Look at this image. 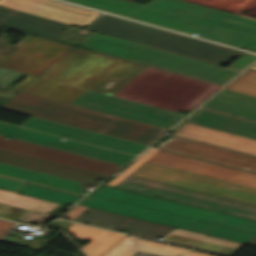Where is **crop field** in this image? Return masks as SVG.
Instances as JSON below:
<instances>
[{"instance_id": "obj_32", "label": "crop field", "mask_w": 256, "mask_h": 256, "mask_svg": "<svg viewBox=\"0 0 256 256\" xmlns=\"http://www.w3.org/2000/svg\"><path fill=\"white\" fill-rule=\"evenodd\" d=\"M14 225L15 223L0 220V238Z\"/></svg>"}, {"instance_id": "obj_38", "label": "crop field", "mask_w": 256, "mask_h": 256, "mask_svg": "<svg viewBox=\"0 0 256 256\" xmlns=\"http://www.w3.org/2000/svg\"><path fill=\"white\" fill-rule=\"evenodd\" d=\"M248 245H252V246H256V237L253 238L249 243H247Z\"/></svg>"}, {"instance_id": "obj_5", "label": "crop field", "mask_w": 256, "mask_h": 256, "mask_svg": "<svg viewBox=\"0 0 256 256\" xmlns=\"http://www.w3.org/2000/svg\"><path fill=\"white\" fill-rule=\"evenodd\" d=\"M81 43L95 51L219 85L238 73L217 65L97 33H92Z\"/></svg>"}, {"instance_id": "obj_22", "label": "crop field", "mask_w": 256, "mask_h": 256, "mask_svg": "<svg viewBox=\"0 0 256 256\" xmlns=\"http://www.w3.org/2000/svg\"><path fill=\"white\" fill-rule=\"evenodd\" d=\"M59 204L0 190V218L17 222L27 211L48 214Z\"/></svg>"}, {"instance_id": "obj_3", "label": "crop field", "mask_w": 256, "mask_h": 256, "mask_svg": "<svg viewBox=\"0 0 256 256\" xmlns=\"http://www.w3.org/2000/svg\"><path fill=\"white\" fill-rule=\"evenodd\" d=\"M220 86L148 67L114 96L171 110L195 108Z\"/></svg>"}, {"instance_id": "obj_7", "label": "crop field", "mask_w": 256, "mask_h": 256, "mask_svg": "<svg viewBox=\"0 0 256 256\" xmlns=\"http://www.w3.org/2000/svg\"><path fill=\"white\" fill-rule=\"evenodd\" d=\"M116 187L166 200L256 220L255 206L189 191L133 176H128ZM145 191H150V193H146ZM218 209H222V211H219Z\"/></svg>"}, {"instance_id": "obj_33", "label": "crop field", "mask_w": 256, "mask_h": 256, "mask_svg": "<svg viewBox=\"0 0 256 256\" xmlns=\"http://www.w3.org/2000/svg\"><path fill=\"white\" fill-rule=\"evenodd\" d=\"M84 209H86V207H82V206H78L76 205L74 208H72L67 216H64L65 218H70L73 219L74 217H76L79 213H81Z\"/></svg>"}, {"instance_id": "obj_30", "label": "crop field", "mask_w": 256, "mask_h": 256, "mask_svg": "<svg viewBox=\"0 0 256 256\" xmlns=\"http://www.w3.org/2000/svg\"><path fill=\"white\" fill-rule=\"evenodd\" d=\"M25 184L26 182L0 176V189L16 192Z\"/></svg>"}, {"instance_id": "obj_36", "label": "crop field", "mask_w": 256, "mask_h": 256, "mask_svg": "<svg viewBox=\"0 0 256 256\" xmlns=\"http://www.w3.org/2000/svg\"><path fill=\"white\" fill-rule=\"evenodd\" d=\"M186 256H210V255H206V254H202V253H198V252H194L191 251L189 254H187Z\"/></svg>"}, {"instance_id": "obj_8", "label": "crop field", "mask_w": 256, "mask_h": 256, "mask_svg": "<svg viewBox=\"0 0 256 256\" xmlns=\"http://www.w3.org/2000/svg\"><path fill=\"white\" fill-rule=\"evenodd\" d=\"M92 195L256 234V221L137 195L103 186Z\"/></svg>"}, {"instance_id": "obj_25", "label": "crop field", "mask_w": 256, "mask_h": 256, "mask_svg": "<svg viewBox=\"0 0 256 256\" xmlns=\"http://www.w3.org/2000/svg\"><path fill=\"white\" fill-rule=\"evenodd\" d=\"M0 174L76 194H85V192H82L85 188L81 187L83 183L4 163H0Z\"/></svg>"}, {"instance_id": "obj_2", "label": "crop field", "mask_w": 256, "mask_h": 256, "mask_svg": "<svg viewBox=\"0 0 256 256\" xmlns=\"http://www.w3.org/2000/svg\"><path fill=\"white\" fill-rule=\"evenodd\" d=\"M186 34L256 51V21L184 0H66Z\"/></svg>"}, {"instance_id": "obj_20", "label": "crop field", "mask_w": 256, "mask_h": 256, "mask_svg": "<svg viewBox=\"0 0 256 256\" xmlns=\"http://www.w3.org/2000/svg\"><path fill=\"white\" fill-rule=\"evenodd\" d=\"M174 136L256 156V140L192 125H182Z\"/></svg>"}, {"instance_id": "obj_16", "label": "crop field", "mask_w": 256, "mask_h": 256, "mask_svg": "<svg viewBox=\"0 0 256 256\" xmlns=\"http://www.w3.org/2000/svg\"><path fill=\"white\" fill-rule=\"evenodd\" d=\"M0 5L78 26H87L99 15V13L53 0H0Z\"/></svg>"}, {"instance_id": "obj_14", "label": "crop field", "mask_w": 256, "mask_h": 256, "mask_svg": "<svg viewBox=\"0 0 256 256\" xmlns=\"http://www.w3.org/2000/svg\"><path fill=\"white\" fill-rule=\"evenodd\" d=\"M0 148L109 176L122 168V166L98 161L95 159L71 154L68 152L44 147L41 145L17 139L7 140L3 136H0Z\"/></svg>"}, {"instance_id": "obj_1", "label": "crop field", "mask_w": 256, "mask_h": 256, "mask_svg": "<svg viewBox=\"0 0 256 256\" xmlns=\"http://www.w3.org/2000/svg\"><path fill=\"white\" fill-rule=\"evenodd\" d=\"M45 40L0 41V67L29 74L1 108L149 145L166 129L68 105L87 89L115 94L147 66Z\"/></svg>"}, {"instance_id": "obj_34", "label": "crop field", "mask_w": 256, "mask_h": 256, "mask_svg": "<svg viewBox=\"0 0 256 256\" xmlns=\"http://www.w3.org/2000/svg\"><path fill=\"white\" fill-rule=\"evenodd\" d=\"M126 175H119L112 179L110 182H108L106 185L115 187L117 184H119L124 178H126Z\"/></svg>"}, {"instance_id": "obj_19", "label": "crop field", "mask_w": 256, "mask_h": 256, "mask_svg": "<svg viewBox=\"0 0 256 256\" xmlns=\"http://www.w3.org/2000/svg\"><path fill=\"white\" fill-rule=\"evenodd\" d=\"M0 162L37 170L64 178L84 182L87 184L97 185L99 183L95 182L97 179L101 178L106 180L109 176L5 151L0 149Z\"/></svg>"}, {"instance_id": "obj_31", "label": "crop field", "mask_w": 256, "mask_h": 256, "mask_svg": "<svg viewBox=\"0 0 256 256\" xmlns=\"http://www.w3.org/2000/svg\"><path fill=\"white\" fill-rule=\"evenodd\" d=\"M255 59H256L255 55H251V54L246 53L245 55H243L240 59H238L235 63H233L228 68L241 71L247 65H249L251 62H253Z\"/></svg>"}, {"instance_id": "obj_11", "label": "crop field", "mask_w": 256, "mask_h": 256, "mask_svg": "<svg viewBox=\"0 0 256 256\" xmlns=\"http://www.w3.org/2000/svg\"><path fill=\"white\" fill-rule=\"evenodd\" d=\"M70 105L169 129L184 114L174 113L87 90Z\"/></svg>"}, {"instance_id": "obj_18", "label": "crop field", "mask_w": 256, "mask_h": 256, "mask_svg": "<svg viewBox=\"0 0 256 256\" xmlns=\"http://www.w3.org/2000/svg\"><path fill=\"white\" fill-rule=\"evenodd\" d=\"M73 221H78L90 225L114 228V230H121L127 228V233L140 235L156 239L162 238L171 227H166L126 216H121L113 213L99 211L91 208H87L81 214H79Z\"/></svg>"}, {"instance_id": "obj_12", "label": "crop field", "mask_w": 256, "mask_h": 256, "mask_svg": "<svg viewBox=\"0 0 256 256\" xmlns=\"http://www.w3.org/2000/svg\"><path fill=\"white\" fill-rule=\"evenodd\" d=\"M0 135L13 137L44 146L68 151L71 153L95 158L98 160L118 164L124 166L131 161L135 156L83 144L77 141L68 139L67 141H61V137L5 124L0 122Z\"/></svg>"}, {"instance_id": "obj_15", "label": "crop field", "mask_w": 256, "mask_h": 256, "mask_svg": "<svg viewBox=\"0 0 256 256\" xmlns=\"http://www.w3.org/2000/svg\"><path fill=\"white\" fill-rule=\"evenodd\" d=\"M22 127L137 156L147 145L30 117Z\"/></svg>"}, {"instance_id": "obj_6", "label": "crop field", "mask_w": 256, "mask_h": 256, "mask_svg": "<svg viewBox=\"0 0 256 256\" xmlns=\"http://www.w3.org/2000/svg\"><path fill=\"white\" fill-rule=\"evenodd\" d=\"M78 205L126 215L166 226L179 227L246 244L255 234L186 219L90 195Z\"/></svg>"}, {"instance_id": "obj_23", "label": "crop field", "mask_w": 256, "mask_h": 256, "mask_svg": "<svg viewBox=\"0 0 256 256\" xmlns=\"http://www.w3.org/2000/svg\"><path fill=\"white\" fill-rule=\"evenodd\" d=\"M202 107L256 121V97L241 93L223 89Z\"/></svg>"}, {"instance_id": "obj_13", "label": "crop field", "mask_w": 256, "mask_h": 256, "mask_svg": "<svg viewBox=\"0 0 256 256\" xmlns=\"http://www.w3.org/2000/svg\"><path fill=\"white\" fill-rule=\"evenodd\" d=\"M0 22H3V26L74 45L92 33L91 31L85 34L79 33L77 32L79 28L75 26L4 8H0ZM44 27L50 28L52 31L46 30Z\"/></svg>"}, {"instance_id": "obj_24", "label": "crop field", "mask_w": 256, "mask_h": 256, "mask_svg": "<svg viewBox=\"0 0 256 256\" xmlns=\"http://www.w3.org/2000/svg\"><path fill=\"white\" fill-rule=\"evenodd\" d=\"M188 122L256 139V123L241 120L210 110H202Z\"/></svg>"}, {"instance_id": "obj_39", "label": "crop field", "mask_w": 256, "mask_h": 256, "mask_svg": "<svg viewBox=\"0 0 256 256\" xmlns=\"http://www.w3.org/2000/svg\"><path fill=\"white\" fill-rule=\"evenodd\" d=\"M250 69L256 70V64H254Z\"/></svg>"}, {"instance_id": "obj_21", "label": "crop field", "mask_w": 256, "mask_h": 256, "mask_svg": "<svg viewBox=\"0 0 256 256\" xmlns=\"http://www.w3.org/2000/svg\"><path fill=\"white\" fill-rule=\"evenodd\" d=\"M161 241L224 256H232L241 247L244 246L243 244L218 239L178 228L173 230Z\"/></svg>"}, {"instance_id": "obj_35", "label": "crop field", "mask_w": 256, "mask_h": 256, "mask_svg": "<svg viewBox=\"0 0 256 256\" xmlns=\"http://www.w3.org/2000/svg\"><path fill=\"white\" fill-rule=\"evenodd\" d=\"M203 108H199L196 112H194L192 115H190L188 118H186L184 121H182L179 125H177L173 131H176L183 123L187 122L191 117H193L195 114H197L199 111H201Z\"/></svg>"}, {"instance_id": "obj_28", "label": "crop field", "mask_w": 256, "mask_h": 256, "mask_svg": "<svg viewBox=\"0 0 256 256\" xmlns=\"http://www.w3.org/2000/svg\"><path fill=\"white\" fill-rule=\"evenodd\" d=\"M17 193L29 195L32 197L44 199L47 201L63 204V205H72L80 196L36 186L33 184H28L22 187ZM78 201V200H77ZM74 204V203H73Z\"/></svg>"}, {"instance_id": "obj_37", "label": "crop field", "mask_w": 256, "mask_h": 256, "mask_svg": "<svg viewBox=\"0 0 256 256\" xmlns=\"http://www.w3.org/2000/svg\"><path fill=\"white\" fill-rule=\"evenodd\" d=\"M134 256H156V255H152V254L142 252V253H139V254L136 253Z\"/></svg>"}, {"instance_id": "obj_9", "label": "crop field", "mask_w": 256, "mask_h": 256, "mask_svg": "<svg viewBox=\"0 0 256 256\" xmlns=\"http://www.w3.org/2000/svg\"><path fill=\"white\" fill-rule=\"evenodd\" d=\"M131 175L256 204V190L254 189L229 184L159 165L144 163Z\"/></svg>"}, {"instance_id": "obj_4", "label": "crop field", "mask_w": 256, "mask_h": 256, "mask_svg": "<svg viewBox=\"0 0 256 256\" xmlns=\"http://www.w3.org/2000/svg\"><path fill=\"white\" fill-rule=\"evenodd\" d=\"M87 30L152 46L217 65L226 64L235 55L242 56L245 54L244 52L106 15L98 18Z\"/></svg>"}, {"instance_id": "obj_29", "label": "crop field", "mask_w": 256, "mask_h": 256, "mask_svg": "<svg viewBox=\"0 0 256 256\" xmlns=\"http://www.w3.org/2000/svg\"><path fill=\"white\" fill-rule=\"evenodd\" d=\"M225 89L256 96V71L248 69Z\"/></svg>"}, {"instance_id": "obj_27", "label": "crop field", "mask_w": 256, "mask_h": 256, "mask_svg": "<svg viewBox=\"0 0 256 256\" xmlns=\"http://www.w3.org/2000/svg\"><path fill=\"white\" fill-rule=\"evenodd\" d=\"M66 229L76 237L92 240L82 248L89 256H101L125 237V235L105 232L76 223Z\"/></svg>"}, {"instance_id": "obj_10", "label": "crop field", "mask_w": 256, "mask_h": 256, "mask_svg": "<svg viewBox=\"0 0 256 256\" xmlns=\"http://www.w3.org/2000/svg\"><path fill=\"white\" fill-rule=\"evenodd\" d=\"M123 173L130 175L144 162L160 164L256 189V174L150 147Z\"/></svg>"}, {"instance_id": "obj_17", "label": "crop field", "mask_w": 256, "mask_h": 256, "mask_svg": "<svg viewBox=\"0 0 256 256\" xmlns=\"http://www.w3.org/2000/svg\"><path fill=\"white\" fill-rule=\"evenodd\" d=\"M156 147L256 173V158L243 154L176 137L165 140Z\"/></svg>"}, {"instance_id": "obj_26", "label": "crop field", "mask_w": 256, "mask_h": 256, "mask_svg": "<svg viewBox=\"0 0 256 256\" xmlns=\"http://www.w3.org/2000/svg\"><path fill=\"white\" fill-rule=\"evenodd\" d=\"M137 251H144L160 256H184L189 252L188 250L126 236L103 256H132Z\"/></svg>"}]
</instances>
